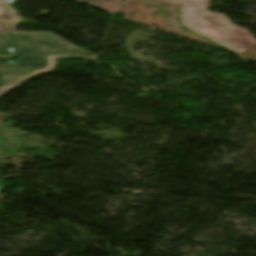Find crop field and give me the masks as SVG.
I'll use <instances>...</instances> for the list:
<instances>
[{
	"label": "crop field",
	"instance_id": "4",
	"mask_svg": "<svg viewBox=\"0 0 256 256\" xmlns=\"http://www.w3.org/2000/svg\"><path fill=\"white\" fill-rule=\"evenodd\" d=\"M6 0H0V17L18 23L20 16H18L14 9L10 8Z\"/></svg>",
	"mask_w": 256,
	"mask_h": 256
},
{
	"label": "crop field",
	"instance_id": "2",
	"mask_svg": "<svg viewBox=\"0 0 256 256\" xmlns=\"http://www.w3.org/2000/svg\"><path fill=\"white\" fill-rule=\"evenodd\" d=\"M58 59H77L70 56H22L18 64H6L11 57H0V96L30 78L53 70Z\"/></svg>",
	"mask_w": 256,
	"mask_h": 256
},
{
	"label": "crop field",
	"instance_id": "3",
	"mask_svg": "<svg viewBox=\"0 0 256 256\" xmlns=\"http://www.w3.org/2000/svg\"><path fill=\"white\" fill-rule=\"evenodd\" d=\"M20 54H72L95 61L98 57L52 33H15V55Z\"/></svg>",
	"mask_w": 256,
	"mask_h": 256
},
{
	"label": "crop field",
	"instance_id": "8",
	"mask_svg": "<svg viewBox=\"0 0 256 256\" xmlns=\"http://www.w3.org/2000/svg\"><path fill=\"white\" fill-rule=\"evenodd\" d=\"M4 184H5V183H1V182H0V194H2V192H3Z\"/></svg>",
	"mask_w": 256,
	"mask_h": 256
},
{
	"label": "crop field",
	"instance_id": "6",
	"mask_svg": "<svg viewBox=\"0 0 256 256\" xmlns=\"http://www.w3.org/2000/svg\"><path fill=\"white\" fill-rule=\"evenodd\" d=\"M16 23L4 20L0 18V33L1 32H13L15 27H16Z\"/></svg>",
	"mask_w": 256,
	"mask_h": 256
},
{
	"label": "crop field",
	"instance_id": "7",
	"mask_svg": "<svg viewBox=\"0 0 256 256\" xmlns=\"http://www.w3.org/2000/svg\"><path fill=\"white\" fill-rule=\"evenodd\" d=\"M29 22H33V21H31L29 19L22 18V21H21L22 24L29 23Z\"/></svg>",
	"mask_w": 256,
	"mask_h": 256
},
{
	"label": "crop field",
	"instance_id": "1",
	"mask_svg": "<svg viewBox=\"0 0 256 256\" xmlns=\"http://www.w3.org/2000/svg\"><path fill=\"white\" fill-rule=\"evenodd\" d=\"M186 4L179 9L178 24L211 40V46L222 47L236 55L256 43L248 30L231 23L222 15L208 12L210 0H175Z\"/></svg>",
	"mask_w": 256,
	"mask_h": 256
},
{
	"label": "crop field",
	"instance_id": "9",
	"mask_svg": "<svg viewBox=\"0 0 256 256\" xmlns=\"http://www.w3.org/2000/svg\"><path fill=\"white\" fill-rule=\"evenodd\" d=\"M6 143L2 138H0V144Z\"/></svg>",
	"mask_w": 256,
	"mask_h": 256
},
{
	"label": "crop field",
	"instance_id": "5",
	"mask_svg": "<svg viewBox=\"0 0 256 256\" xmlns=\"http://www.w3.org/2000/svg\"><path fill=\"white\" fill-rule=\"evenodd\" d=\"M12 34L13 33L0 34V55H12L8 50V47H12Z\"/></svg>",
	"mask_w": 256,
	"mask_h": 256
},
{
	"label": "crop field",
	"instance_id": "10",
	"mask_svg": "<svg viewBox=\"0 0 256 256\" xmlns=\"http://www.w3.org/2000/svg\"><path fill=\"white\" fill-rule=\"evenodd\" d=\"M73 1H75V0H73Z\"/></svg>",
	"mask_w": 256,
	"mask_h": 256
}]
</instances>
